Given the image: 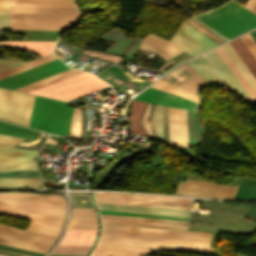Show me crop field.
Listing matches in <instances>:
<instances>
[{"mask_svg":"<svg viewBox=\"0 0 256 256\" xmlns=\"http://www.w3.org/2000/svg\"><path fill=\"white\" fill-rule=\"evenodd\" d=\"M65 212L66 201L57 194L0 193L1 214L61 226Z\"/></svg>","mask_w":256,"mask_h":256,"instance_id":"8a807250","label":"crop field"},{"mask_svg":"<svg viewBox=\"0 0 256 256\" xmlns=\"http://www.w3.org/2000/svg\"><path fill=\"white\" fill-rule=\"evenodd\" d=\"M212 233L103 224L100 238L209 247Z\"/></svg>","mask_w":256,"mask_h":256,"instance_id":"ac0d7876","label":"crop field"},{"mask_svg":"<svg viewBox=\"0 0 256 256\" xmlns=\"http://www.w3.org/2000/svg\"><path fill=\"white\" fill-rule=\"evenodd\" d=\"M77 19L76 8L10 7V28L67 29Z\"/></svg>","mask_w":256,"mask_h":256,"instance_id":"34b2d1b8","label":"crop field"},{"mask_svg":"<svg viewBox=\"0 0 256 256\" xmlns=\"http://www.w3.org/2000/svg\"><path fill=\"white\" fill-rule=\"evenodd\" d=\"M195 17L228 39L256 26V15L235 0Z\"/></svg>","mask_w":256,"mask_h":256,"instance_id":"412701ff","label":"crop field"},{"mask_svg":"<svg viewBox=\"0 0 256 256\" xmlns=\"http://www.w3.org/2000/svg\"><path fill=\"white\" fill-rule=\"evenodd\" d=\"M65 104V101L35 96L29 126L61 136L68 134L73 107Z\"/></svg>","mask_w":256,"mask_h":256,"instance_id":"f4fd0767","label":"crop field"},{"mask_svg":"<svg viewBox=\"0 0 256 256\" xmlns=\"http://www.w3.org/2000/svg\"><path fill=\"white\" fill-rule=\"evenodd\" d=\"M105 86L108 84L104 81L83 72L30 93L68 101Z\"/></svg>","mask_w":256,"mask_h":256,"instance_id":"dd49c442","label":"crop field"},{"mask_svg":"<svg viewBox=\"0 0 256 256\" xmlns=\"http://www.w3.org/2000/svg\"><path fill=\"white\" fill-rule=\"evenodd\" d=\"M34 96L0 88V118L29 124Z\"/></svg>","mask_w":256,"mask_h":256,"instance_id":"e52e79f7","label":"crop field"},{"mask_svg":"<svg viewBox=\"0 0 256 256\" xmlns=\"http://www.w3.org/2000/svg\"><path fill=\"white\" fill-rule=\"evenodd\" d=\"M55 236L22 230L0 224V243L45 253Z\"/></svg>","mask_w":256,"mask_h":256,"instance_id":"d8731c3e","label":"crop field"},{"mask_svg":"<svg viewBox=\"0 0 256 256\" xmlns=\"http://www.w3.org/2000/svg\"><path fill=\"white\" fill-rule=\"evenodd\" d=\"M70 69L58 59L0 80V87L15 89Z\"/></svg>","mask_w":256,"mask_h":256,"instance_id":"5a996713","label":"crop field"},{"mask_svg":"<svg viewBox=\"0 0 256 256\" xmlns=\"http://www.w3.org/2000/svg\"><path fill=\"white\" fill-rule=\"evenodd\" d=\"M238 186H220L210 182L186 179L185 182H180L176 193L204 197L233 198Z\"/></svg>","mask_w":256,"mask_h":256,"instance_id":"3316defc","label":"crop field"},{"mask_svg":"<svg viewBox=\"0 0 256 256\" xmlns=\"http://www.w3.org/2000/svg\"><path fill=\"white\" fill-rule=\"evenodd\" d=\"M170 42L192 56L217 45L186 23H183Z\"/></svg>","mask_w":256,"mask_h":256,"instance_id":"28ad6ade","label":"crop field"},{"mask_svg":"<svg viewBox=\"0 0 256 256\" xmlns=\"http://www.w3.org/2000/svg\"><path fill=\"white\" fill-rule=\"evenodd\" d=\"M135 100H141L146 102H152L177 108H183L187 110L197 111L200 110V103L186 99L165 91H161L152 87H149L137 97L133 98Z\"/></svg>","mask_w":256,"mask_h":256,"instance_id":"d1516ede","label":"crop field"},{"mask_svg":"<svg viewBox=\"0 0 256 256\" xmlns=\"http://www.w3.org/2000/svg\"><path fill=\"white\" fill-rule=\"evenodd\" d=\"M169 144L188 145L186 110L168 107Z\"/></svg>","mask_w":256,"mask_h":256,"instance_id":"22f410ed","label":"crop field"},{"mask_svg":"<svg viewBox=\"0 0 256 256\" xmlns=\"http://www.w3.org/2000/svg\"><path fill=\"white\" fill-rule=\"evenodd\" d=\"M205 55L209 59V61L212 63V65L215 67V69L218 71V73L221 75V77L224 79V81L227 83L228 86H230L232 89H234L236 92H238L247 100L253 101L250 98V96L247 94V92L244 90V88L241 86V84L238 82V80L235 78V76L230 71V69L227 67V65L224 63V61L221 59V57L218 55V53L215 51V49L205 53Z\"/></svg>","mask_w":256,"mask_h":256,"instance_id":"cbeb9de0","label":"crop field"},{"mask_svg":"<svg viewBox=\"0 0 256 256\" xmlns=\"http://www.w3.org/2000/svg\"><path fill=\"white\" fill-rule=\"evenodd\" d=\"M98 244L197 252L214 255V249L100 239Z\"/></svg>","mask_w":256,"mask_h":256,"instance_id":"5142ce71","label":"crop field"},{"mask_svg":"<svg viewBox=\"0 0 256 256\" xmlns=\"http://www.w3.org/2000/svg\"><path fill=\"white\" fill-rule=\"evenodd\" d=\"M147 103L145 102H140V101H135L132 100L131 102V126H130V131L134 132V133H138V134H142L145 136H150L151 138H154L151 129H150V125H149V114H150V110L153 104H149L146 111L144 112L143 116L142 113L145 109ZM142 116V126L144 127V129L146 130V132L144 131V129L141 127L140 124V118ZM155 139V138H154Z\"/></svg>","mask_w":256,"mask_h":256,"instance_id":"d9b57169","label":"crop field"},{"mask_svg":"<svg viewBox=\"0 0 256 256\" xmlns=\"http://www.w3.org/2000/svg\"><path fill=\"white\" fill-rule=\"evenodd\" d=\"M169 42L154 36H148L143 39L139 48L145 51H155L166 60L184 52Z\"/></svg>","mask_w":256,"mask_h":256,"instance_id":"733c2abd","label":"crop field"},{"mask_svg":"<svg viewBox=\"0 0 256 256\" xmlns=\"http://www.w3.org/2000/svg\"><path fill=\"white\" fill-rule=\"evenodd\" d=\"M99 209L188 217L189 211L96 203Z\"/></svg>","mask_w":256,"mask_h":256,"instance_id":"4a817a6b","label":"crop field"},{"mask_svg":"<svg viewBox=\"0 0 256 256\" xmlns=\"http://www.w3.org/2000/svg\"><path fill=\"white\" fill-rule=\"evenodd\" d=\"M97 230L67 229L59 245L92 246Z\"/></svg>","mask_w":256,"mask_h":256,"instance_id":"bc2a9ffb","label":"crop field"},{"mask_svg":"<svg viewBox=\"0 0 256 256\" xmlns=\"http://www.w3.org/2000/svg\"><path fill=\"white\" fill-rule=\"evenodd\" d=\"M192 68H194L206 81H208L213 87L225 86L204 56H199L189 62H187Z\"/></svg>","mask_w":256,"mask_h":256,"instance_id":"214f88e0","label":"crop field"},{"mask_svg":"<svg viewBox=\"0 0 256 256\" xmlns=\"http://www.w3.org/2000/svg\"><path fill=\"white\" fill-rule=\"evenodd\" d=\"M0 45L14 47V48L30 51V52L44 56L49 53H52L55 42L12 41V42H0Z\"/></svg>","mask_w":256,"mask_h":256,"instance_id":"92a150f3","label":"crop field"},{"mask_svg":"<svg viewBox=\"0 0 256 256\" xmlns=\"http://www.w3.org/2000/svg\"><path fill=\"white\" fill-rule=\"evenodd\" d=\"M155 250L97 245L93 255L101 256H142Z\"/></svg>","mask_w":256,"mask_h":256,"instance_id":"dafd665d","label":"crop field"},{"mask_svg":"<svg viewBox=\"0 0 256 256\" xmlns=\"http://www.w3.org/2000/svg\"><path fill=\"white\" fill-rule=\"evenodd\" d=\"M0 6L75 7L72 0H0Z\"/></svg>","mask_w":256,"mask_h":256,"instance_id":"00972430","label":"crop field"},{"mask_svg":"<svg viewBox=\"0 0 256 256\" xmlns=\"http://www.w3.org/2000/svg\"><path fill=\"white\" fill-rule=\"evenodd\" d=\"M95 196L134 200V195H128V194H95ZM135 200L184 203V204L191 203V200L186 199V198L154 196V195H140V194H135Z\"/></svg>","mask_w":256,"mask_h":256,"instance_id":"a9b5d70f","label":"crop field"},{"mask_svg":"<svg viewBox=\"0 0 256 256\" xmlns=\"http://www.w3.org/2000/svg\"><path fill=\"white\" fill-rule=\"evenodd\" d=\"M95 199H96V202H101V203H113V204H125V205H137V206H149V207H161V208L190 210V205H184V204L142 202V201L101 199V198H95Z\"/></svg>","mask_w":256,"mask_h":256,"instance_id":"4177f3b9","label":"crop field"},{"mask_svg":"<svg viewBox=\"0 0 256 256\" xmlns=\"http://www.w3.org/2000/svg\"><path fill=\"white\" fill-rule=\"evenodd\" d=\"M221 47L225 51V53L228 55V57L231 59V61L234 63V65L237 67V69L240 71V73L248 82V84L251 86V88L254 90V92L256 93V80L254 79L252 74L249 72V70L246 68V66L243 64V62L240 60V58L232 49V47L229 45V43Z\"/></svg>","mask_w":256,"mask_h":256,"instance_id":"730fd06b","label":"crop field"},{"mask_svg":"<svg viewBox=\"0 0 256 256\" xmlns=\"http://www.w3.org/2000/svg\"><path fill=\"white\" fill-rule=\"evenodd\" d=\"M256 79V61L239 38L229 42Z\"/></svg>","mask_w":256,"mask_h":256,"instance_id":"eef30255","label":"crop field"},{"mask_svg":"<svg viewBox=\"0 0 256 256\" xmlns=\"http://www.w3.org/2000/svg\"><path fill=\"white\" fill-rule=\"evenodd\" d=\"M37 150L0 147V159L33 160Z\"/></svg>","mask_w":256,"mask_h":256,"instance_id":"ae1a2a85","label":"crop field"},{"mask_svg":"<svg viewBox=\"0 0 256 256\" xmlns=\"http://www.w3.org/2000/svg\"><path fill=\"white\" fill-rule=\"evenodd\" d=\"M80 72H82V71L70 69V70H67L65 72L56 74L54 76L45 78L43 80L31 83V84L23 86V87H20V88H18L16 90H21V91L29 92V91H32L34 89L40 88L42 86H45V85L51 84L53 82L59 81L61 79H64V78L70 77L72 75L78 74Z\"/></svg>","mask_w":256,"mask_h":256,"instance_id":"d3111659","label":"crop field"},{"mask_svg":"<svg viewBox=\"0 0 256 256\" xmlns=\"http://www.w3.org/2000/svg\"><path fill=\"white\" fill-rule=\"evenodd\" d=\"M0 133L29 139L36 134V131L0 121Z\"/></svg>","mask_w":256,"mask_h":256,"instance_id":"750c4746","label":"crop field"},{"mask_svg":"<svg viewBox=\"0 0 256 256\" xmlns=\"http://www.w3.org/2000/svg\"><path fill=\"white\" fill-rule=\"evenodd\" d=\"M0 187H41L38 178L0 179Z\"/></svg>","mask_w":256,"mask_h":256,"instance_id":"bd1437ed","label":"crop field"},{"mask_svg":"<svg viewBox=\"0 0 256 256\" xmlns=\"http://www.w3.org/2000/svg\"><path fill=\"white\" fill-rule=\"evenodd\" d=\"M36 170L33 161L0 160V171Z\"/></svg>","mask_w":256,"mask_h":256,"instance_id":"1d83c4d3","label":"crop field"},{"mask_svg":"<svg viewBox=\"0 0 256 256\" xmlns=\"http://www.w3.org/2000/svg\"><path fill=\"white\" fill-rule=\"evenodd\" d=\"M13 33H27L24 40H56L61 31L12 30Z\"/></svg>","mask_w":256,"mask_h":256,"instance_id":"120bbe31","label":"crop field"},{"mask_svg":"<svg viewBox=\"0 0 256 256\" xmlns=\"http://www.w3.org/2000/svg\"><path fill=\"white\" fill-rule=\"evenodd\" d=\"M151 125L156 137L164 142L162 106H154L151 114Z\"/></svg>","mask_w":256,"mask_h":256,"instance_id":"d32e631a","label":"crop field"},{"mask_svg":"<svg viewBox=\"0 0 256 256\" xmlns=\"http://www.w3.org/2000/svg\"><path fill=\"white\" fill-rule=\"evenodd\" d=\"M151 86L200 102L199 97H197V96H195V95H193V94H191V93H189L187 91H184V90L178 88L177 86H175V85H173V84H171L169 82H166V81H164L162 79L158 80L157 82H155Z\"/></svg>","mask_w":256,"mask_h":256,"instance_id":"5866460e","label":"crop field"},{"mask_svg":"<svg viewBox=\"0 0 256 256\" xmlns=\"http://www.w3.org/2000/svg\"><path fill=\"white\" fill-rule=\"evenodd\" d=\"M216 51L219 53V55L222 57V59L225 61V63L228 65L231 71L234 73L236 78L239 80V82L242 84V86L245 88V90L248 92V94L251 96L254 102H256V94L253 92V90L241 76L239 71L236 69V67L233 65V63L230 61V59L227 57V55L224 53L221 47L216 48Z\"/></svg>","mask_w":256,"mask_h":256,"instance_id":"028f5c9d","label":"crop field"},{"mask_svg":"<svg viewBox=\"0 0 256 256\" xmlns=\"http://www.w3.org/2000/svg\"><path fill=\"white\" fill-rule=\"evenodd\" d=\"M53 59H56V57H54L52 54H49L41 59H37V60H34V61H31L29 63H26V64H23L21 66H18V67H15V68H12V69H9L7 71H4V72H1L0 73V79L4 78V77H7V76H10L12 74H15V73H18V72H21L23 70H26V69H29V68H32L34 66H37V65H40L42 63H45V62H48V61H51Z\"/></svg>","mask_w":256,"mask_h":256,"instance_id":"e1f06a70","label":"crop field"},{"mask_svg":"<svg viewBox=\"0 0 256 256\" xmlns=\"http://www.w3.org/2000/svg\"><path fill=\"white\" fill-rule=\"evenodd\" d=\"M60 228L59 226L30 221L26 229L57 236Z\"/></svg>","mask_w":256,"mask_h":256,"instance_id":"0bd39190","label":"crop field"},{"mask_svg":"<svg viewBox=\"0 0 256 256\" xmlns=\"http://www.w3.org/2000/svg\"><path fill=\"white\" fill-rule=\"evenodd\" d=\"M90 247L57 246L51 254L87 255Z\"/></svg>","mask_w":256,"mask_h":256,"instance_id":"b80d0937","label":"crop field"},{"mask_svg":"<svg viewBox=\"0 0 256 256\" xmlns=\"http://www.w3.org/2000/svg\"><path fill=\"white\" fill-rule=\"evenodd\" d=\"M100 215H101V217H106V218H116V219H126V220H136V221H146V222H156V223H175V224H187L188 223V222H183V221L138 218V217H127V216H116V215H105V214H100Z\"/></svg>","mask_w":256,"mask_h":256,"instance_id":"c035e120","label":"crop field"},{"mask_svg":"<svg viewBox=\"0 0 256 256\" xmlns=\"http://www.w3.org/2000/svg\"><path fill=\"white\" fill-rule=\"evenodd\" d=\"M67 228L97 229V220L70 219Z\"/></svg>","mask_w":256,"mask_h":256,"instance_id":"c21b1889","label":"crop field"},{"mask_svg":"<svg viewBox=\"0 0 256 256\" xmlns=\"http://www.w3.org/2000/svg\"><path fill=\"white\" fill-rule=\"evenodd\" d=\"M71 218L96 219L93 209L72 208Z\"/></svg>","mask_w":256,"mask_h":256,"instance_id":"03da06ac","label":"crop field"},{"mask_svg":"<svg viewBox=\"0 0 256 256\" xmlns=\"http://www.w3.org/2000/svg\"><path fill=\"white\" fill-rule=\"evenodd\" d=\"M99 212L100 213H106V214H119V215L144 216V217H157V218H168V219H176V220L188 221V218H183V217L160 216V215H149V214H138V213H127V212H115V211H104V210H99Z\"/></svg>","mask_w":256,"mask_h":256,"instance_id":"b54c1fbb","label":"crop field"},{"mask_svg":"<svg viewBox=\"0 0 256 256\" xmlns=\"http://www.w3.org/2000/svg\"><path fill=\"white\" fill-rule=\"evenodd\" d=\"M38 177L36 171L0 172V178Z\"/></svg>","mask_w":256,"mask_h":256,"instance_id":"5d738f31","label":"crop field"},{"mask_svg":"<svg viewBox=\"0 0 256 256\" xmlns=\"http://www.w3.org/2000/svg\"><path fill=\"white\" fill-rule=\"evenodd\" d=\"M75 110V108H74ZM74 110H73V116H74ZM76 113H77V108L75 110V116H74V122H73V127H72V121H73V116H72V121H71V126H70V132L69 134L71 133V127H72V133L71 135L73 136L74 134V128H75V122H76ZM79 113H80V109H79ZM79 113H77V122H76V128H75V134L74 136L76 137V134H77V128H78V122H79ZM80 132H81V119H80V122H79V128H78V134H77V137L80 138ZM82 133H83V130L81 132V137H82ZM90 136V132H87L84 130V134H83V137L87 138ZM88 139V138H87Z\"/></svg>","mask_w":256,"mask_h":256,"instance_id":"d23c7cc5","label":"crop field"},{"mask_svg":"<svg viewBox=\"0 0 256 256\" xmlns=\"http://www.w3.org/2000/svg\"><path fill=\"white\" fill-rule=\"evenodd\" d=\"M191 19H193L194 21H196L197 23H199V24H201L202 26H204L205 28H207L208 30H210L211 32H213L214 34H216V35H218L219 37H221L222 39H224V40H227L226 38H224L223 36H221V35H219L218 33H216L215 31H213L212 29H210V28H208L207 26H205L204 24H202L201 22H199V21H197L196 19H194V18H191ZM191 19H189L192 23H194L195 25H197L199 28H201L202 30H204L206 33H208L210 36H212L213 38H215L217 41H219V42H221L220 40H222L221 38H219L218 36H216V37H218V38H216L215 36H213L211 33H209L208 31H206L204 28H202L200 25H198L197 23H195L193 20H191ZM185 22H187L188 24H190L191 26H193L194 28H196L197 30H199L201 33H203L204 35H206L207 37H209L210 39H212L213 41H215V42H217L216 40H214L212 37H210L209 35H207L206 33H204L202 30H200L199 28H197L196 26H194L192 23H190L189 21H185ZM224 40H222V41H224Z\"/></svg>","mask_w":256,"mask_h":256,"instance_id":"425ffa30","label":"crop field"},{"mask_svg":"<svg viewBox=\"0 0 256 256\" xmlns=\"http://www.w3.org/2000/svg\"><path fill=\"white\" fill-rule=\"evenodd\" d=\"M239 38L250 51V53L253 55V57L256 59V42L253 40L250 34L247 33Z\"/></svg>","mask_w":256,"mask_h":256,"instance_id":"25e5ab78","label":"crop field"},{"mask_svg":"<svg viewBox=\"0 0 256 256\" xmlns=\"http://www.w3.org/2000/svg\"><path fill=\"white\" fill-rule=\"evenodd\" d=\"M0 29H9V7H0Z\"/></svg>","mask_w":256,"mask_h":256,"instance_id":"73cf0c24","label":"crop field"},{"mask_svg":"<svg viewBox=\"0 0 256 256\" xmlns=\"http://www.w3.org/2000/svg\"><path fill=\"white\" fill-rule=\"evenodd\" d=\"M19 140L20 138L0 135V146L16 147Z\"/></svg>","mask_w":256,"mask_h":256,"instance_id":"89e229c0","label":"crop field"},{"mask_svg":"<svg viewBox=\"0 0 256 256\" xmlns=\"http://www.w3.org/2000/svg\"><path fill=\"white\" fill-rule=\"evenodd\" d=\"M21 64H23V63H19V62H3V61H0V72H1V71H4V70H7V69H9V68H12V67L21 65Z\"/></svg>","mask_w":256,"mask_h":256,"instance_id":"1f2cbd36","label":"crop field"},{"mask_svg":"<svg viewBox=\"0 0 256 256\" xmlns=\"http://www.w3.org/2000/svg\"><path fill=\"white\" fill-rule=\"evenodd\" d=\"M245 7L256 13V0H248Z\"/></svg>","mask_w":256,"mask_h":256,"instance_id":"dbb93151","label":"crop field"},{"mask_svg":"<svg viewBox=\"0 0 256 256\" xmlns=\"http://www.w3.org/2000/svg\"><path fill=\"white\" fill-rule=\"evenodd\" d=\"M81 55L80 54H77V53H75V54H73V55H71L70 57H68L67 59H65V60H63V61H65L66 63L67 62H69V61H73V60H75L76 58H78V57H80ZM84 56V55H83ZM82 57V56H81ZM80 57V58H81ZM79 59V58H78ZM77 60V59H76ZM75 60V61H76ZM74 62V61H73Z\"/></svg>","mask_w":256,"mask_h":256,"instance_id":"0fb4a251","label":"crop field"},{"mask_svg":"<svg viewBox=\"0 0 256 256\" xmlns=\"http://www.w3.org/2000/svg\"><path fill=\"white\" fill-rule=\"evenodd\" d=\"M135 40H136V37H134V39L131 41V43L120 54L123 55L127 51V49L130 47V45L135 42Z\"/></svg>","mask_w":256,"mask_h":256,"instance_id":"1d79db26","label":"crop field"},{"mask_svg":"<svg viewBox=\"0 0 256 256\" xmlns=\"http://www.w3.org/2000/svg\"><path fill=\"white\" fill-rule=\"evenodd\" d=\"M48 143H52V144H56L57 145V142H55L53 139L51 138H48L47 140Z\"/></svg>","mask_w":256,"mask_h":256,"instance_id":"9d1cf04e","label":"crop field"},{"mask_svg":"<svg viewBox=\"0 0 256 256\" xmlns=\"http://www.w3.org/2000/svg\"><path fill=\"white\" fill-rule=\"evenodd\" d=\"M0 251H5V250H1V249H0ZM5 252L14 253V254H19V253L10 252V251H5ZM19 255H23V256H29V255H24V254H19Z\"/></svg>","mask_w":256,"mask_h":256,"instance_id":"447ae74e","label":"crop field"},{"mask_svg":"<svg viewBox=\"0 0 256 256\" xmlns=\"http://www.w3.org/2000/svg\"><path fill=\"white\" fill-rule=\"evenodd\" d=\"M82 103L89 105V101H87V100H83V99H82ZM98 107H100V106H98Z\"/></svg>","mask_w":256,"mask_h":256,"instance_id":"0765c3eb","label":"crop field"},{"mask_svg":"<svg viewBox=\"0 0 256 256\" xmlns=\"http://www.w3.org/2000/svg\"><path fill=\"white\" fill-rule=\"evenodd\" d=\"M49 256H68V255H49Z\"/></svg>","mask_w":256,"mask_h":256,"instance_id":"db79e9e6","label":"crop field"},{"mask_svg":"<svg viewBox=\"0 0 256 256\" xmlns=\"http://www.w3.org/2000/svg\"><path fill=\"white\" fill-rule=\"evenodd\" d=\"M87 117V116H86ZM89 123H90V120H88V128H87V130L89 129Z\"/></svg>","mask_w":256,"mask_h":256,"instance_id":"7b73153f","label":"crop field"},{"mask_svg":"<svg viewBox=\"0 0 256 256\" xmlns=\"http://www.w3.org/2000/svg\"><path fill=\"white\" fill-rule=\"evenodd\" d=\"M0 256H7V255H2V254H0Z\"/></svg>","mask_w":256,"mask_h":256,"instance_id":"78b8030e","label":"crop field"},{"mask_svg":"<svg viewBox=\"0 0 256 256\" xmlns=\"http://www.w3.org/2000/svg\"><path fill=\"white\" fill-rule=\"evenodd\" d=\"M85 128H86V125H85Z\"/></svg>","mask_w":256,"mask_h":256,"instance_id":"0f1d7ab4","label":"crop field"},{"mask_svg":"<svg viewBox=\"0 0 256 256\" xmlns=\"http://www.w3.org/2000/svg\"><path fill=\"white\" fill-rule=\"evenodd\" d=\"M84 116V115H83Z\"/></svg>","mask_w":256,"mask_h":256,"instance_id":"e1d0b9f6","label":"crop field"},{"mask_svg":"<svg viewBox=\"0 0 256 256\" xmlns=\"http://www.w3.org/2000/svg\"><path fill=\"white\" fill-rule=\"evenodd\" d=\"M82 98V97H81Z\"/></svg>","mask_w":256,"mask_h":256,"instance_id":"ae633e8c","label":"crop field"}]
</instances>
